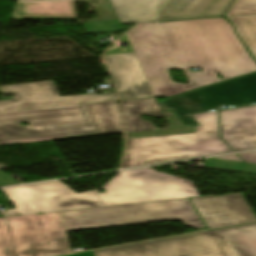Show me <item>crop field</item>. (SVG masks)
I'll return each mask as SVG.
<instances>
[{"label":"crop field","mask_w":256,"mask_h":256,"mask_svg":"<svg viewBox=\"0 0 256 256\" xmlns=\"http://www.w3.org/2000/svg\"><path fill=\"white\" fill-rule=\"evenodd\" d=\"M239 156L243 158L246 162L256 163V152L240 154Z\"/></svg>","instance_id":"24"},{"label":"crop field","mask_w":256,"mask_h":256,"mask_svg":"<svg viewBox=\"0 0 256 256\" xmlns=\"http://www.w3.org/2000/svg\"><path fill=\"white\" fill-rule=\"evenodd\" d=\"M169 0H110L121 23L155 20Z\"/></svg>","instance_id":"15"},{"label":"crop field","mask_w":256,"mask_h":256,"mask_svg":"<svg viewBox=\"0 0 256 256\" xmlns=\"http://www.w3.org/2000/svg\"><path fill=\"white\" fill-rule=\"evenodd\" d=\"M223 139L235 150L256 148V105L220 111Z\"/></svg>","instance_id":"12"},{"label":"crop field","mask_w":256,"mask_h":256,"mask_svg":"<svg viewBox=\"0 0 256 256\" xmlns=\"http://www.w3.org/2000/svg\"><path fill=\"white\" fill-rule=\"evenodd\" d=\"M6 174V173H5ZM4 173H2L0 171V186H7V185H16L18 184L16 181L14 180H8L6 179L8 176L5 175Z\"/></svg>","instance_id":"23"},{"label":"crop field","mask_w":256,"mask_h":256,"mask_svg":"<svg viewBox=\"0 0 256 256\" xmlns=\"http://www.w3.org/2000/svg\"><path fill=\"white\" fill-rule=\"evenodd\" d=\"M126 35L157 97L168 98L256 71V62L223 18L141 23ZM190 67H201L203 72H190ZM170 69L183 70L188 84L172 82ZM217 72L224 79L218 80Z\"/></svg>","instance_id":"1"},{"label":"crop field","mask_w":256,"mask_h":256,"mask_svg":"<svg viewBox=\"0 0 256 256\" xmlns=\"http://www.w3.org/2000/svg\"><path fill=\"white\" fill-rule=\"evenodd\" d=\"M208 229L256 221L241 193L191 198Z\"/></svg>","instance_id":"10"},{"label":"crop field","mask_w":256,"mask_h":256,"mask_svg":"<svg viewBox=\"0 0 256 256\" xmlns=\"http://www.w3.org/2000/svg\"><path fill=\"white\" fill-rule=\"evenodd\" d=\"M205 168L256 174V164L205 159Z\"/></svg>","instance_id":"19"},{"label":"crop field","mask_w":256,"mask_h":256,"mask_svg":"<svg viewBox=\"0 0 256 256\" xmlns=\"http://www.w3.org/2000/svg\"><path fill=\"white\" fill-rule=\"evenodd\" d=\"M214 159H222V160L243 162L237 155L218 157V158H214Z\"/></svg>","instance_id":"25"},{"label":"crop field","mask_w":256,"mask_h":256,"mask_svg":"<svg viewBox=\"0 0 256 256\" xmlns=\"http://www.w3.org/2000/svg\"><path fill=\"white\" fill-rule=\"evenodd\" d=\"M69 256H256V224Z\"/></svg>","instance_id":"3"},{"label":"crop field","mask_w":256,"mask_h":256,"mask_svg":"<svg viewBox=\"0 0 256 256\" xmlns=\"http://www.w3.org/2000/svg\"><path fill=\"white\" fill-rule=\"evenodd\" d=\"M1 191L16 207L4 216L104 206L93 191L75 193L59 181Z\"/></svg>","instance_id":"8"},{"label":"crop field","mask_w":256,"mask_h":256,"mask_svg":"<svg viewBox=\"0 0 256 256\" xmlns=\"http://www.w3.org/2000/svg\"><path fill=\"white\" fill-rule=\"evenodd\" d=\"M193 116L196 134L126 140L122 168L232 152L219 138L217 111Z\"/></svg>","instance_id":"5"},{"label":"crop field","mask_w":256,"mask_h":256,"mask_svg":"<svg viewBox=\"0 0 256 256\" xmlns=\"http://www.w3.org/2000/svg\"><path fill=\"white\" fill-rule=\"evenodd\" d=\"M88 34L105 33L123 30L118 20L84 23Z\"/></svg>","instance_id":"20"},{"label":"crop field","mask_w":256,"mask_h":256,"mask_svg":"<svg viewBox=\"0 0 256 256\" xmlns=\"http://www.w3.org/2000/svg\"><path fill=\"white\" fill-rule=\"evenodd\" d=\"M11 19L76 20L73 0H17Z\"/></svg>","instance_id":"13"},{"label":"crop field","mask_w":256,"mask_h":256,"mask_svg":"<svg viewBox=\"0 0 256 256\" xmlns=\"http://www.w3.org/2000/svg\"><path fill=\"white\" fill-rule=\"evenodd\" d=\"M232 0H173L159 21L222 16Z\"/></svg>","instance_id":"14"},{"label":"crop field","mask_w":256,"mask_h":256,"mask_svg":"<svg viewBox=\"0 0 256 256\" xmlns=\"http://www.w3.org/2000/svg\"><path fill=\"white\" fill-rule=\"evenodd\" d=\"M0 92L16 96L15 100L0 101V111L115 100L114 93L61 97L53 81L0 86Z\"/></svg>","instance_id":"9"},{"label":"crop field","mask_w":256,"mask_h":256,"mask_svg":"<svg viewBox=\"0 0 256 256\" xmlns=\"http://www.w3.org/2000/svg\"><path fill=\"white\" fill-rule=\"evenodd\" d=\"M236 27L253 56H256V15L227 17Z\"/></svg>","instance_id":"18"},{"label":"crop field","mask_w":256,"mask_h":256,"mask_svg":"<svg viewBox=\"0 0 256 256\" xmlns=\"http://www.w3.org/2000/svg\"><path fill=\"white\" fill-rule=\"evenodd\" d=\"M120 100L154 97L133 53L105 56Z\"/></svg>","instance_id":"11"},{"label":"crop field","mask_w":256,"mask_h":256,"mask_svg":"<svg viewBox=\"0 0 256 256\" xmlns=\"http://www.w3.org/2000/svg\"><path fill=\"white\" fill-rule=\"evenodd\" d=\"M90 136L97 135L84 104L0 112V145Z\"/></svg>","instance_id":"4"},{"label":"crop field","mask_w":256,"mask_h":256,"mask_svg":"<svg viewBox=\"0 0 256 256\" xmlns=\"http://www.w3.org/2000/svg\"><path fill=\"white\" fill-rule=\"evenodd\" d=\"M256 14V0H235L226 16Z\"/></svg>","instance_id":"22"},{"label":"crop field","mask_w":256,"mask_h":256,"mask_svg":"<svg viewBox=\"0 0 256 256\" xmlns=\"http://www.w3.org/2000/svg\"><path fill=\"white\" fill-rule=\"evenodd\" d=\"M98 135L123 133L116 101L85 104Z\"/></svg>","instance_id":"17"},{"label":"crop field","mask_w":256,"mask_h":256,"mask_svg":"<svg viewBox=\"0 0 256 256\" xmlns=\"http://www.w3.org/2000/svg\"><path fill=\"white\" fill-rule=\"evenodd\" d=\"M181 133H195V126L130 133V134H128L129 135L128 139L151 137V136H161V135H171V134H181Z\"/></svg>","instance_id":"21"},{"label":"crop field","mask_w":256,"mask_h":256,"mask_svg":"<svg viewBox=\"0 0 256 256\" xmlns=\"http://www.w3.org/2000/svg\"><path fill=\"white\" fill-rule=\"evenodd\" d=\"M171 109L186 126L199 125L191 114L256 103V72L157 101Z\"/></svg>","instance_id":"7"},{"label":"crop field","mask_w":256,"mask_h":256,"mask_svg":"<svg viewBox=\"0 0 256 256\" xmlns=\"http://www.w3.org/2000/svg\"><path fill=\"white\" fill-rule=\"evenodd\" d=\"M99 190L94 192L105 206L199 196L191 181L151 168L118 172Z\"/></svg>","instance_id":"6"},{"label":"crop field","mask_w":256,"mask_h":256,"mask_svg":"<svg viewBox=\"0 0 256 256\" xmlns=\"http://www.w3.org/2000/svg\"><path fill=\"white\" fill-rule=\"evenodd\" d=\"M256 58V57H255Z\"/></svg>","instance_id":"26"},{"label":"crop field","mask_w":256,"mask_h":256,"mask_svg":"<svg viewBox=\"0 0 256 256\" xmlns=\"http://www.w3.org/2000/svg\"><path fill=\"white\" fill-rule=\"evenodd\" d=\"M172 220L204 227L188 198L0 218V256L65 254V231Z\"/></svg>","instance_id":"2"},{"label":"crop field","mask_w":256,"mask_h":256,"mask_svg":"<svg viewBox=\"0 0 256 256\" xmlns=\"http://www.w3.org/2000/svg\"><path fill=\"white\" fill-rule=\"evenodd\" d=\"M126 123V133L157 129L140 115L163 117L155 98L119 101ZM154 112L153 113H151Z\"/></svg>","instance_id":"16"}]
</instances>
